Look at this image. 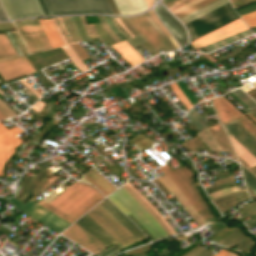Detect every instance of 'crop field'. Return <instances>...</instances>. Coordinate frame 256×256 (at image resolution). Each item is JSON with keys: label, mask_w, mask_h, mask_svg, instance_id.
<instances>
[{"label": "crop field", "mask_w": 256, "mask_h": 256, "mask_svg": "<svg viewBox=\"0 0 256 256\" xmlns=\"http://www.w3.org/2000/svg\"><path fill=\"white\" fill-rule=\"evenodd\" d=\"M108 23V26L110 27V29L123 41L126 40L116 29L115 27L111 24L110 20H106Z\"/></svg>", "instance_id": "b80d0937"}, {"label": "crop field", "mask_w": 256, "mask_h": 256, "mask_svg": "<svg viewBox=\"0 0 256 256\" xmlns=\"http://www.w3.org/2000/svg\"><path fill=\"white\" fill-rule=\"evenodd\" d=\"M110 208H112L128 225H130L140 236L141 238H145L143 234L137 229V227L128 220L121 212H119L107 199L103 200Z\"/></svg>", "instance_id": "730fd06b"}, {"label": "crop field", "mask_w": 256, "mask_h": 256, "mask_svg": "<svg viewBox=\"0 0 256 256\" xmlns=\"http://www.w3.org/2000/svg\"><path fill=\"white\" fill-rule=\"evenodd\" d=\"M38 204H40L41 206L45 207L46 209L52 211L53 213L59 215L60 217L64 218L65 220L69 221V222H74L75 220L72 219L71 217H69L68 215L64 214L63 212L59 211L58 209L48 205L45 201L40 200L38 202Z\"/></svg>", "instance_id": "4177f3b9"}, {"label": "crop field", "mask_w": 256, "mask_h": 256, "mask_svg": "<svg viewBox=\"0 0 256 256\" xmlns=\"http://www.w3.org/2000/svg\"><path fill=\"white\" fill-rule=\"evenodd\" d=\"M220 117L222 124H225L236 117L242 115V113L237 110L229 101H227L223 96L216 97L212 99Z\"/></svg>", "instance_id": "d1516ede"}, {"label": "crop field", "mask_w": 256, "mask_h": 256, "mask_svg": "<svg viewBox=\"0 0 256 256\" xmlns=\"http://www.w3.org/2000/svg\"><path fill=\"white\" fill-rule=\"evenodd\" d=\"M149 13V15L152 17V19L156 22V24L160 27V29H162L164 31V33L168 36V38L173 42L174 46L177 48L179 47L177 45V43L173 40V38L171 37V35L168 33V31L166 30V28L160 23V21L158 20V18L155 16V14L153 13L152 9L147 11Z\"/></svg>", "instance_id": "750c4746"}, {"label": "crop field", "mask_w": 256, "mask_h": 256, "mask_svg": "<svg viewBox=\"0 0 256 256\" xmlns=\"http://www.w3.org/2000/svg\"><path fill=\"white\" fill-rule=\"evenodd\" d=\"M244 47L240 46V47H237L236 49H234L233 51L229 52L227 55L223 56L222 58L226 59L228 58L229 56H231L232 54H234L235 52H237L238 50L242 49Z\"/></svg>", "instance_id": "c035e120"}, {"label": "crop field", "mask_w": 256, "mask_h": 256, "mask_svg": "<svg viewBox=\"0 0 256 256\" xmlns=\"http://www.w3.org/2000/svg\"><path fill=\"white\" fill-rule=\"evenodd\" d=\"M86 214L91 217L97 224H99L105 231H107L112 237H114L123 247L136 242L134 237L129 232H127L98 205Z\"/></svg>", "instance_id": "dd49c442"}, {"label": "crop field", "mask_w": 256, "mask_h": 256, "mask_svg": "<svg viewBox=\"0 0 256 256\" xmlns=\"http://www.w3.org/2000/svg\"><path fill=\"white\" fill-rule=\"evenodd\" d=\"M226 131L235 138L243 147H245L254 157H256V147L253 146L245 137H243L235 128L229 123L224 125Z\"/></svg>", "instance_id": "bc2a9ffb"}, {"label": "crop field", "mask_w": 256, "mask_h": 256, "mask_svg": "<svg viewBox=\"0 0 256 256\" xmlns=\"http://www.w3.org/2000/svg\"><path fill=\"white\" fill-rule=\"evenodd\" d=\"M99 191L104 195L109 194L116 189L108 180H106L100 173L92 168L85 176Z\"/></svg>", "instance_id": "22f410ed"}, {"label": "crop field", "mask_w": 256, "mask_h": 256, "mask_svg": "<svg viewBox=\"0 0 256 256\" xmlns=\"http://www.w3.org/2000/svg\"><path fill=\"white\" fill-rule=\"evenodd\" d=\"M197 136L201 139V141L210 149L213 151H221L224 152L222 150V148L220 147V145L218 144V142L216 141V139L214 138V136L210 133V131L205 128L199 132L196 133ZM218 153V152H217ZM219 156H221L218 153ZM222 157V156H221Z\"/></svg>", "instance_id": "4a817a6b"}, {"label": "crop field", "mask_w": 256, "mask_h": 256, "mask_svg": "<svg viewBox=\"0 0 256 256\" xmlns=\"http://www.w3.org/2000/svg\"><path fill=\"white\" fill-rule=\"evenodd\" d=\"M242 167V171L244 174V178H245V182L246 185L253 191L256 193V177L253 176L247 169H245L243 166Z\"/></svg>", "instance_id": "00972430"}, {"label": "crop field", "mask_w": 256, "mask_h": 256, "mask_svg": "<svg viewBox=\"0 0 256 256\" xmlns=\"http://www.w3.org/2000/svg\"><path fill=\"white\" fill-rule=\"evenodd\" d=\"M157 179L172 193L199 226L205 221L166 174Z\"/></svg>", "instance_id": "28ad6ade"}, {"label": "crop field", "mask_w": 256, "mask_h": 256, "mask_svg": "<svg viewBox=\"0 0 256 256\" xmlns=\"http://www.w3.org/2000/svg\"><path fill=\"white\" fill-rule=\"evenodd\" d=\"M17 56L12 45L4 34H0V60Z\"/></svg>", "instance_id": "214f88e0"}, {"label": "crop field", "mask_w": 256, "mask_h": 256, "mask_svg": "<svg viewBox=\"0 0 256 256\" xmlns=\"http://www.w3.org/2000/svg\"><path fill=\"white\" fill-rule=\"evenodd\" d=\"M107 2L113 14H120L113 0H107Z\"/></svg>", "instance_id": "0bd39190"}, {"label": "crop field", "mask_w": 256, "mask_h": 256, "mask_svg": "<svg viewBox=\"0 0 256 256\" xmlns=\"http://www.w3.org/2000/svg\"><path fill=\"white\" fill-rule=\"evenodd\" d=\"M131 66L143 61V58L137 54L129 44L124 41L112 46Z\"/></svg>", "instance_id": "5142ce71"}, {"label": "crop field", "mask_w": 256, "mask_h": 256, "mask_svg": "<svg viewBox=\"0 0 256 256\" xmlns=\"http://www.w3.org/2000/svg\"><path fill=\"white\" fill-rule=\"evenodd\" d=\"M250 113L256 117V109Z\"/></svg>", "instance_id": "d23c7cc5"}, {"label": "crop field", "mask_w": 256, "mask_h": 256, "mask_svg": "<svg viewBox=\"0 0 256 256\" xmlns=\"http://www.w3.org/2000/svg\"><path fill=\"white\" fill-rule=\"evenodd\" d=\"M20 132L22 130L17 127L8 131L0 122V176H3V166L15 151L14 147L23 142L15 136Z\"/></svg>", "instance_id": "e52e79f7"}, {"label": "crop field", "mask_w": 256, "mask_h": 256, "mask_svg": "<svg viewBox=\"0 0 256 256\" xmlns=\"http://www.w3.org/2000/svg\"><path fill=\"white\" fill-rule=\"evenodd\" d=\"M235 120L239 122L245 129H247L253 136L256 137V126L244 115Z\"/></svg>", "instance_id": "a9b5d70f"}, {"label": "crop field", "mask_w": 256, "mask_h": 256, "mask_svg": "<svg viewBox=\"0 0 256 256\" xmlns=\"http://www.w3.org/2000/svg\"><path fill=\"white\" fill-rule=\"evenodd\" d=\"M48 40L50 41L53 48L63 46V43L58 36L55 28L53 27L50 19L39 20Z\"/></svg>", "instance_id": "733c2abd"}, {"label": "crop field", "mask_w": 256, "mask_h": 256, "mask_svg": "<svg viewBox=\"0 0 256 256\" xmlns=\"http://www.w3.org/2000/svg\"><path fill=\"white\" fill-rule=\"evenodd\" d=\"M131 24L143 35V37L158 51L163 49V46L158 40L152 35L144 23L139 19L138 16L128 17Z\"/></svg>", "instance_id": "d9b57169"}, {"label": "crop field", "mask_w": 256, "mask_h": 256, "mask_svg": "<svg viewBox=\"0 0 256 256\" xmlns=\"http://www.w3.org/2000/svg\"><path fill=\"white\" fill-rule=\"evenodd\" d=\"M5 118H7V117L4 116V115L0 112V120H1V119H5Z\"/></svg>", "instance_id": "5d738f31"}, {"label": "crop field", "mask_w": 256, "mask_h": 256, "mask_svg": "<svg viewBox=\"0 0 256 256\" xmlns=\"http://www.w3.org/2000/svg\"><path fill=\"white\" fill-rule=\"evenodd\" d=\"M121 14H134L148 9L144 0H114Z\"/></svg>", "instance_id": "cbeb9de0"}, {"label": "crop field", "mask_w": 256, "mask_h": 256, "mask_svg": "<svg viewBox=\"0 0 256 256\" xmlns=\"http://www.w3.org/2000/svg\"><path fill=\"white\" fill-rule=\"evenodd\" d=\"M159 169L172 179V181L182 191L196 210L203 216V218L207 220L213 217L211 211L199 196V190L193 182V174L190 170H188L184 165H181L173 170H171L167 165Z\"/></svg>", "instance_id": "412701ff"}, {"label": "crop field", "mask_w": 256, "mask_h": 256, "mask_svg": "<svg viewBox=\"0 0 256 256\" xmlns=\"http://www.w3.org/2000/svg\"><path fill=\"white\" fill-rule=\"evenodd\" d=\"M232 126H234L242 135H244L252 144L256 146V138H254L248 131H246L240 124H238L235 120L229 122Z\"/></svg>", "instance_id": "eef30255"}, {"label": "crop field", "mask_w": 256, "mask_h": 256, "mask_svg": "<svg viewBox=\"0 0 256 256\" xmlns=\"http://www.w3.org/2000/svg\"><path fill=\"white\" fill-rule=\"evenodd\" d=\"M101 208H103L110 216H112L118 223H120L127 231H129L137 241L141 240L139 235L128 226L112 209H110L103 201L98 204Z\"/></svg>", "instance_id": "92a150f3"}, {"label": "crop field", "mask_w": 256, "mask_h": 256, "mask_svg": "<svg viewBox=\"0 0 256 256\" xmlns=\"http://www.w3.org/2000/svg\"><path fill=\"white\" fill-rule=\"evenodd\" d=\"M108 198L127 216L132 215L156 239L167 236L161 226L121 187Z\"/></svg>", "instance_id": "34b2d1b8"}, {"label": "crop field", "mask_w": 256, "mask_h": 256, "mask_svg": "<svg viewBox=\"0 0 256 256\" xmlns=\"http://www.w3.org/2000/svg\"><path fill=\"white\" fill-rule=\"evenodd\" d=\"M0 110L5 113L8 117L16 116V114L9 109L1 100H0Z\"/></svg>", "instance_id": "d32e631a"}, {"label": "crop field", "mask_w": 256, "mask_h": 256, "mask_svg": "<svg viewBox=\"0 0 256 256\" xmlns=\"http://www.w3.org/2000/svg\"><path fill=\"white\" fill-rule=\"evenodd\" d=\"M103 198L93 187L75 181L49 203L77 220Z\"/></svg>", "instance_id": "ac0d7876"}, {"label": "crop field", "mask_w": 256, "mask_h": 256, "mask_svg": "<svg viewBox=\"0 0 256 256\" xmlns=\"http://www.w3.org/2000/svg\"><path fill=\"white\" fill-rule=\"evenodd\" d=\"M148 47V46H147ZM149 48V47H148ZM149 51V50H148ZM150 52V51H149Z\"/></svg>", "instance_id": "425ffa30"}, {"label": "crop field", "mask_w": 256, "mask_h": 256, "mask_svg": "<svg viewBox=\"0 0 256 256\" xmlns=\"http://www.w3.org/2000/svg\"><path fill=\"white\" fill-rule=\"evenodd\" d=\"M34 72L24 56L1 61L0 74L5 81Z\"/></svg>", "instance_id": "3316defc"}, {"label": "crop field", "mask_w": 256, "mask_h": 256, "mask_svg": "<svg viewBox=\"0 0 256 256\" xmlns=\"http://www.w3.org/2000/svg\"><path fill=\"white\" fill-rule=\"evenodd\" d=\"M53 174L36 190V192L33 195H37L42 189L47 187V185L55 178Z\"/></svg>", "instance_id": "5866460e"}, {"label": "crop field", "mask_w": 256, "mask_h": 256, "mask_svg": "<svg viewBox=\"0 0 256 256\" xmlns=\"http://www.w3.org/2000/svg\"><path fill=\"white\" fill-rule=\"evenodd\" d=\"M0 83H1V81H0Z\"/></svg>", "instance_id": "73cf0c24"}, {"label": "crop field", "mask_w": 256, "mask_h": 256, "mask_svg": "<svg viewBox=\"0 0 256 256\" xmlns=\"http://www.w3.org/2000/svg\"><path fill=\"white\" fill-rule=\"evenodd\" d=\"M135 46L145 42V40L140 36H136V37H133L131 39H129Z\"/></svg>", "instance_id": "e1f06a70"}, {"label": "crop field", "mask_w": 256, "mask_h": 256, "mask_svg": "<svg viewBox=\"0 0 256 256\" xmlns=\"http://www.w3.org/2000/svg\"><path fill=\"white\" fill-rule=\"evenodd\" d=\"M145 17L150 21V23L154 26V28L161 34L163 39L169 44L171 50L175 49L174 46L172 45L171 41L167 38V36L158 28V26L155 24V22L151 19V17L148 15L147 12L143 13Z\"/></svg>", "instance_id": "1d83c4d3"}, {"label": "crop field", "mask_w": 256, "mask_h": 256, "mask_svg": "<svg viewBox=\"0 0 256 256\" xmlns=\"http://www.w3.org/2000/svg\"><path fill=\"white\" fill-rule=\"evenodd\" d=\"M170 87L173 89L175 94L178 96L180 101L186 106V108L189 110V108L192 106L190 102L185 98V96L182 94V92L179 90V88L176 86L175 83L170 84Z\"/></svg>", "instance_id": "ae1a2a85"}, {"label": "crop field", "mask_w": 256, "mask_h": 256, "mask_svg": "<svg viewBox=\"0 0 256 256\" xmlns=\"http://www.w3.org/2000/svg\"><path fill=\"white\" fill-rule=\"evenodd\" d=\"M229 252L225 251V250H220L218 253H216L214 256H225L226 254H228Z\"/></svg>", "instance_id": "c21b1889"}, {"label": "crop field", "mask_w": 256, "mask_h": 256, "mask_svg": "<svg viewBox=\"0 0 256 256\" xmlns=\"http://www.w3.org/2000/svg\"><path fill=\"white\" fill-rule=\"evenodd\" d=\"M215 1H217V0H204V1L194 5L192 7L176 14V17L181 19V18H183V17H185V16H187V15H189V14H191V13H193V12H195V11H197V10H199V9H201V8L207 6V5H209V4H211Z\"/></svg>", "instance_id": "dafd665d"}, {"label": "crop field", "mask_w": 256, "mask_h": 256, "mask_svg": "<svg viewBox=\"0 0 256 256\" xmlns=\"http://www.w3.org/2000/svg\"><path fill=\"white\" fill-rule=\"evenodd\" d=\"M51 174L52 173L45 168L42 171L36 173L33 179L23 177L18 193L14 198L24 203L32 195L35 189ZM15 199L8 198L6 200L20 209L21 212L38 220L42 224L52 228L58 233L63 231L67 226L71 224L30 200L23 204Z\"/></svg>", "instance_id": "8a807250"}, {"label": "crop field", "mask_w": 256, "mask_h": 256, "mask_svg": "<svg viewBox=\"0 0 256 256\" xmlns=\"http://www.w3.org/2000/svg\"><path fill=\"white\" fill-rule=\"evenodd\" d=\"M138 256H142V255H138Z\"/></svg>", "instance_id": "25e5ab78"}, {"label": "crop field", "mask_w": 256, "mask_h": 256, "mask_svg": "<svg viewBox=\"0 0 256 256\" xmlns=\"http://www.w3.org/2000/svg\"><path fill=\"white\" fill-rule=\"evenodd\" d=\"M30 53L50 49L51 46L38 22L26 20L14 22ZM53 48V47H52Z\"/></svg>", "instance_id": "f4fd0767"}, {"label": "crop field", "mask_w": 256, "mask_h": 256, "mask_svg": "<svg viewBox=\"0 0 256 256\" xmlns=\"http://www.w3.org/2000/svg\"><path fill=\"white\" fill-rule=\"evenodd\" d=\"M71 48L74 50V52L77 54L81 61L89 57L83 50V48L79 45V43L71 45Z\"/></svg>", "instance_id": "120bbe31"}, {"label": "crop field", "mask_w": 256, "mask_h": 256, "mask_svg": "<svg viewBox=\"0 0 256 256\" xmlns=\"http://www.w3.org/2000/svg\"><path fill=\"white\" fill-rule=\"evenodd\" d=\"M238 190L239 189L237 188V186H233V187H229V188H225V189H222V190H219V191L209 193L208 195H209L210 198L214 199L218 196L229 194V193H232V192H235V191H238Z\"/></svg>", "instance_id": "d3111659"}, {"label": "crop field", "mask_w": 256, "mask_h": 256, "mask_svg": "<svg viewBox=\"0 0 256 256\" xmlns=\"http://www.w3.org/2000/svg\"><path fill=\"white\" fill-rule=\"evenodd\" d=\"M177 0H172L170 2H168L167 4H165L166 7L170 6L171 4H173L174 2H176Z\"/></svg>", "instance_id": "b54c1fbb"}, {"label": "crop field", "mask_w": 256, "mask_h": 256, "mask_svg": "<svg viewBox=\"0 0 256 256\" xmlns=\"http://www.w3.org/2000/svg\"><path fill=\"white\" fill-rule=\"evenodd\" d=\"M241 18L247 23V25L250 28L256 26V11L249 13L247 15L241 16Z\"/></svg>", "instance_id": "bd1437ed"}, {"label": "crop field", "mask_w": 256, "mask_h": 256, "mask_svg": "<svg viewBox=\"0 0 256 256\" xmlns=\"http://www.w3.org/2000/svg\"><path fill=\"white\" fill-rule=\"evenodd\" d=\"M256 176V166L249 169Z\"/></svg>", "instance_id": "03da06ac"}, {"label": "crop field", "mask_w": 256, "mask_h": 256, "mask_svg": "<svg viewBox=\"0 0 256 256\" xmlns=\"http://www.w3.org/2000/svg\"><path fill=\"white\" fill-rule=\"evenodd\" d=\"M247 29L246 25L242 22L241 19H237L193 42H191V46L193 49L202 47L211 42L217 41L234 33L240 32L242 30Z\"/></svg>", "instance_id": "5a996713"}, {"label": "crop field", "mask_w": 256, "mask_h": 256, "mask_svg": "<svg viewBox=\"0 0 256 256\" xmlns=\"http://www.w3.org/2000/svg\"><path fill=\"white\" fill-rule=\"evenodd\" d=\"M253 1H256V0H231L234 8L253 2Z\"/></svg>", "instance_id": "028f5c9d"}, {"label": "crop field", "mask_w": 256, "mask_h": 256, "mask_svg": "<svg viewBox=\"0 0 256 256\" xmlns=\"http://www.w3.org/2000/svg\"><path fill=\"white\" fill-rule=\"evenodd\" d=\"M62 235L73 240L94 254L99 253L107 247L75 223L64 231Z\"/></svg>", "instance_id": "d8731c3e"}]
</instances>
